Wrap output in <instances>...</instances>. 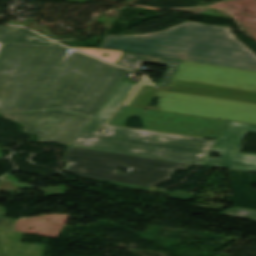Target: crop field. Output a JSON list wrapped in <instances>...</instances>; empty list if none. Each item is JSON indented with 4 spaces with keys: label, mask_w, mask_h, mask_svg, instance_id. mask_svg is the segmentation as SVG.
Returning <instances> with one entry per match:
<instances>
[{
    "label": "crop field",
    "mask_w": 256,
    "mask_h": 256,
    "mask_svg": "<svg viewBox=\"0 0 256 256\" xmlns=\"http://www.w3.org/2000/svg\"><path fill=\"white\" fill-rule=\"evenodd\" d=\"M66 47L3 43L0 113L58 108L93 116L126 69Z\"/></svg>",
    "instance_id": "8a807250"
},
{
    "label": "crop field",
    "mask_w": 256,
    "mask_h": 256,
    "mask_svg": "<svg viewBox=\"0 0 256 256\" xmlns=\"http://www.w3.org/2000/svg\"><path fill=\"white\" fill-rule=\"evenodd\" d=\"M130 106L256 124V72L182 61L168 89L145 86Z\"/></svg>",
    "instance_id": "ac0d7876"
},
{
    "label": "crop field",
    "mask_w": 256,
    "mask_h": 256,
    "mask_svg": "<svg viewBox=\"0 0 256 256\" xmlns=\"http://www.w3.org/2000/svg\"><path fill=\"white\" fill-rule=\"evenodd\" d=\"M104 123L92 119L72 146L256 172V154L240 153L247 132H256L253 124L228 121L218 139L209 141L201 137L112 125H105L108 130L103 134L98 131ZM212 152L221 156L210 158Z\"/></svg>",
    "instance_id": "34b2d1b8"
},
{
    "label": "crop field",
    "mask_w": 256,
    "mask_h": 256,
    "mask_svg": "<svg viewBox=\"0 0 256 256\" xmlns=\"http://www.w3.org/2000/svg\"><path fill=\"white\" fill-rule=\"evenodd\" d=\"M101 48L256 71V55L229 29L187 22L146 36H106Z\"/></svg>",
    "instance_id": "412701ff"
},
{
    "label": "crop field",
    "mask_w": 256,
    "mask_h": 256,
    "mask_svg": "<svg viewBox=\"0 0 256 256\" xmlns=\"http://www.w3.org/2000/svg\"><path fill=\"white\" fill-rule=\"evenodd\" d=\"M63 161L71 163L67 171L79 177L92 178L119 187L163 193L174 198L191 200L193 197V194L182 191L170 194L155 188L158 183L169 180L176 169L188 168L187 164L74 147L68 148ZM118 166L132 167L130 174L116 173Z\"/></svg>",
    "instance_id": "f4fd0767"
},
{
    "label": "crop field",
    "mask_w": 256,
    "mask_h": 256,
    "mask_svg": "<svg viewBox=\"0 0 256 256\" xmlns=\"http://www.w3.org/2000/svg\"><path fill=\"white\" fill-rule=\"evenodd\" d=\"M130 117H140L142 128L217 139L227 121L121 107L108 124L126 126Z\"/></svg>",
    "instance_id": "dd49c442"
},
{
    "label": "crop field",
    "mask_w": 256,
    "mask_h": 256,
    "mask_svg": "<svg viewBox=\"0 0 256 256\" xmlns=\"http://www.w3.org/2000/svg\"><path fill=\"white\" fill-rule=\"evenodd\" d=\"M25 126L23 132L39 135L37 141L70 145L89 118L58 111L2 115Z\"/></svg>",
    "instance_id": "e52e79f7"
},
{
    "label": "crop field",
    "mask_w": 256,
    "mask_h": 256,
    "mask_svg": "<svg viewBox=\"0 0 256 256\" xmlns=\"http://www.w3.org/2000/svg\"><path fill=\"white\" fill-rule=\"evenodd\" d=\"M143 63L167 66V68L157 86L168 87V85H169L176 69L178 68L179 64L181 63V61L124 52L123 55L116 62V64H118V65L130 68V69L136 70V71H139V69Z\"/></svg>",
    "instance_id": "d8731c3e"
},
{
    "label": "crop field",
    "mask_w": 256,
    "mask_h": 256,
    "mask_svg": "<svg viewBox=\"0 0 256 256\" xmlns=\"http://www.w3.org/2000/svg\"><path fill=\"white\" fill-rule=\"evenodd\" d=\"M130 70H127L125 75L122 77L118 85L115 87L110 96L98 109L93 117L107 120L112 112L117 108L129 91L134 87V83L123 81L125 77L129 74Z\"/></svg>",
    "instance_id": "5a996713"
},
{
    "label": "crop field",
    "mask_w": 256,
    "mask_h": 256,
    "mask_svg": "<svg viewBox=\"0 0 256 256\" xmlns=\"http://www.w3.org/2000/svg\"><path fill=\"white\" fill-rule=\"evenodd\" d=\"M0 42L58 45L23 28L6 26H0Z\"/></svg>",
    "instance_id": "3316defc"
},
{
    "label": "crop field",
    "mask_w": 256,
    "mask_h": 256,
    "mask_svg": "<svg viewBox=\"0 0 256 256\" xmlns=\"http://www.w3.org/2000/svg\"><path fill=\"white\" fill-rule=\"evenodd\" d=\"M24 233L0 230V256H10Z\"/></svg>",
    "instance_id": "28ad6ade"
},
{
    "label": "crop field",
    "mask_w": 256,
    "mask_h": 256,
    "mask_svg": "<svg viewBox=\"0 0 256 256\" xmlns=\"http://www.w3.org/2000/svg\"><path fill=\"white\" fill-rule=\"evenodd\" d=\"M44 245L18 243L11 256H42Z\"/></svg>",
    "instance_id": "d1516ede"
},
{
    "label": "crop field",
    "mask_w": 256,
    "mask_h": 256,
    "mask_svg": "<svg viewBox=\"0 0 256 256\" xmlns=\"http://www.w3.org/2000/svg\"><path fill=\"white\" fill-rule=\"evenodd\" d=\"M74 49L80 50L82 52L88 53L90 55L99 57L101 59L107 60L109 62L115 63L116 60L121 56L123 52L120 51H112V50H104V49H87V48H77L72 47ZM104 53L108 54L107 57L102 56Z\"/></svg>",
    "instance_id": "22f410ed"
},
{
    "label": "crop field",
    "mask_w": 256,
    "mask_h": 256,
    "mask_svg": "<svg viewBox=\"0 0 256 256\" xmlns=\"http://www.w3.org/2000/svg\"><path fill=\"white\" fill-rule=\"evenodd\" d=\"M219 215L234 217V218H243V219H250L256 222V211L251 210H244L238 208H231L226 211L219 213Z\"/></svg>",
    "instance_id": "cbeb9de0"
},
{
    "label": "crop field",
    "mask_w": 256,
    "mask_h": 256,
    "mask_svg": "<svg viewBox=\"0 0 256 256\" xmlns=\"http://www.w3.org/2000/svg\"><path fill=\"white\" fill-rule=\"evenodd\" d=\"M4 214V209L0 207V229L11 230L16 220L2 218Z\"/></svg>",
    "instance_id": "5142ce71"
},
{
    "label": "crop field",
    "mask_w": 256,
    "mask_h": 256,
    "mask_svg": "<svg viewBox=\"0 0 256 256\" xmlns=\"http://www.w3.org/2000/svg\"><path fill=\"white\" fill-rule=\"evenodd\" d=\"M152 85V83L147 79V78H143L140 83L135 87V89L132 91V93L129 95V97L126 99V101L123 103V105L128 106V104L130 103V101L133 99V97L137 94V92L140 90L142 85ZM143 87V86H142Z\"/></svg>",
    "instance_id": "d9b57169"
},
{
    "label": "crop field",
    "mask_w": 256,
    "mask_h": 256,
    "mask_svg": "<svg viewBox=\"0 0 256 256\" xmlns=\"http://www.w3.org/2000/svg\"><path fill=\"white\" fill-rule=\"evenodd\" d=\"M2 43H0V46H1Z\"/></svg>",
    "instance_id": "733c2abd"
}]
</instances>
